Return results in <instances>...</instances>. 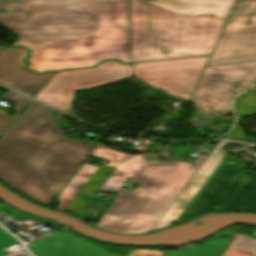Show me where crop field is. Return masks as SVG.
Here are the masks:
<instances>
[{"instance_id":"crop-field-1","label":"crop field","mask_w":256,"mask_h":256,"mask_svg":"<svg viewBox=\"0 0 256 256\" xmlns=\"http://www.w3.org/2000/svg\"><path fill=\"white\" fill-rule=\"evenodd\" d=\"M4 9L32 11L31 17L0 15V23L21 36L13 46L32 50L27 69L131 62L129 0H19Z\"/></svg>"},{"instance_id":"crop-field-2","label":"crop field","mask_w":256,"mask_h":256,"mask_svg":"<svg viewBox=\"0 0 256 256\" xmlns=\"http://www.w3.org/2000/svg\"><path fill=\"white\" fill-rule=\"evenodd\" d=\"M52 110L34 101L0 141V181L46 206L97 146L65 137Z\"/></svg>"},{"instance_id":"crop-field-3","label":"crop field","mask_w":256,"mask_h":256,"mask_svg":"<svg viewBox=\"0 0 256 256\" xmlns=\"http://www.w3.org/2000/svg\"><path fill=\"white\" fill-rule=\"evenodd\" d=\"M234 0H130L132 62L209 54Z\"/></svg>"},{"instance_id":"crop-field-4","label":"crop field","mask_w":256,"mask_h":256,"mask_svg":"<svg viewBox=\"0 0 256 256\" xmlns=\"http://www.w3.org/2000/svg\"><path fill=\"white\" fill-rule=\"evenodd\" d=\"M256 80V62L207 67L191 101L199 115L190 121L193 127L213 122L231 111V98Z\"/></svg>"},{"instance_id":"crop-field-5","label":"crop field","mask_w":256,"mask_h":256,"mask_svg":"<svg viewBox=\"0 0 256 256\" xmlns=\"http://www.w3.org/2000/svg\"><path fill=\"white\" fill-rule=\"evenodd\" d=\"M132 77L131 64L118 61L103 62L85 70L56 73L36 99L44 101L69 114L75 90L97 87Z\"/></svg>"},{"instance_id":"crop-field-6","label":"crop field","mask_w":256,"mask_h":256,"mask_svg":"<svg viewBox=\"0 0 256 256\" xmlns=\"http://www.w3.org/2000/svg\"><path fill=\"white\" fill-rule=\"evenodd\" d=\"M177 163L152 162L131 180L132 183L142 184L141 187L137 191L123 190L97 227L125 233ZM141 189L149 193L139 194Z\"/></svg>"},{"instance_id":"crop-field-7","label":"crop field","mask_w":256,"mask_h":256,"mask_svg":"<svg viewBox=\"0 0 256 256\" xmlns=\"http://www.w3.org/2000/svg\"><path fill=\"white\" fill-rule=\"evenodd\" d=\"M95 156L103 157L111 160L109 165L117 167L111 177L108 179L102 192L118 194L124 184L123 180L130 178L134 174L140 172L148 163L144 155L129 156L116 151L109 150L108 148L100 145L95 152ZM96 166L84 164L82 168L67 184L66 188L60 193L59 200L62 203L58 209L74 210L75 213L81 215L83 211L66 207L92 173L96 170Z\"/></svg>"},{"instance_id":"crop-field-8","label":"crop field","mask_w":256,"mask_h":256,"mask_svg":"<svg viewBox=\"0 0 256 256\" xmlns=\"http://www.w3.org/2000/svg\"><path fill=\"white\" fill-rule=\"evenodd\" d=\"M206 157L207 156L201 154L199 158L196 159L193 167H190L191 164L189 163L179 162L126 234L149 232Z\"/></svg>"},{"instance_id":"crop-field-9","label":"crop field","mask_w":256,"mask_h":256,"mask_svg":"<svg viewBox=\"0 0 256 256\" xmlns=\"http://www.w3.org/2000/svg\"><path fill=\"white\" fill-rule=\"evenodd\" d=\"M208 57L132 64L133 71L191 94Z\"/></svg>"},{"instance_id":"crop-field-10","label":"crop field","mask_w":256,"mask_h":256,"mask_svg":"<svg viewBox=\"0 0 256 256\" xmlns=\"http://www.w3.org/2000/svg\"><path fill=\"white\" fill-rule=\"evenodd\" d=\"M245 172L221 165L177 222L182 223L200 211H221L248 178L243 175Z\"/></svg>"},{"instance_id":"crop-field-11","label":"crop field","mask_w":256,"mask_h":256,"mask_svg":"<svg viewBox=\"0 0 256 256\" xmlns=\"http://www.w3.org/2000/svg\"><path fill=\"white\" fill-rule=\"evenodd\" d=\"M208 65L256 60V20L227 21Z\"/></svg>"},{"instance_id":"crop-field-12","label":"crop field","mask_w":256,"mask_h":256,"mask_svg":"<svg viewBox=\"0 0 256 256\" xmlns=\"http://www.w3.org/2000/svg\"><path fill=\"white\" fill-rule=\"evenodd\" d=\"M234 143L248 147L247 144L236 142H220L209 154L206 160L190 178L178 196L167 208L162 217L154 225L151 230L163 229L170 225L172 221H176L193 197L201 189L227 152L224 150L227 144Z\"/></svg>"},{"instance_id":"crop-field-13","label":"crop field","mask_w":256,"mask_h":256,"mask_svg":"<svg viewBox=\"0 0 256 256\" xmlns=\"http://www.w3.org/2000/svg\"><path fill=\"white\" fill-rule=\"evenodd\" d=\"M28 51L23 48L7 49L0 46V83L34 97L53 73L36 74L24 70Z\"/></svg>"},{"instance_id":"crop-field-14","label":"crop field","mask_w":256,"mask_h":256,"mask_svg":"<svg viewBox=\"0 0 256 256\" xmlns=\"http://www.w3.org/2000/svg\"><path fill=\"white\" fill-rule=\"evenodd\" d=\"M36 256H113L103 249L71 236L66 231L29 245ZM130 256H162V252L131 250Z\"/></svg>"},{"instance_id":"crop-field-15","label":"crop field","mask_w":256,"mask_h":256,"mask_svg":"<svg viewBox=\"0 0 256 256\" xmlns=\"http://www.w3.org/2000/svg\"><path fill=\"white\" fill-rule=\"evenodd\" d=\"M233 229L221 233L205 245L182 252H163V256H223L236 234Z\"/></svg>"},{"instance_id":"crop-field-16","label":"crop field","mask_w":256,"mask_h":256,"mask_svg":"<svg viewBox=\"0 0 256 256\" xmlns=\"http://www.w3.org/2000/svg\"><path fill=\"white\" fill-rule=\"evenodd\" d=\"M226 208L256 211V173H252Z\"/></svg>"},{"instance_id":"crop-field-17","label":"crop field","mask_w":256,"mask_h":256,"mask_svg":"<svg viewBox=\"0 0 256 256\" xmlns=\"http://www.w3.org/2000/svg\"><path fill=\"white\" fill-rule=\"evenodd\" d=\"M1 90L8 91L4 87L0 86ZM3 100H7L15 103V111L18 113L15 117L7 115L9 111L0 110V137L7 131V129L13 124V122L18 118L24 108L32 101V99L22 96L14 91L8 93Z\"/></svg>"},{"instance_id":"crop-field-18","label":"crop field","mask_w":256,"mask_h":256,"mask_svg":"<svg viewBox=\"0 0 256 256\" xmlns=\"http://www.w3.org/2000/svg\"><path fill=\"white\" fill-rule=\"evenodd\" d=\"M224 256H256V240L236 234Z\"/></svg>"},{"instance_id":"crop-field-19","label":"crop field","mask_w":256,"mask_h":256,"mask_svg":"<svg viewBox=\"0 0 256 256\" xmlns=\"http://www.w3.org/2000/svg\"><path fill=\"white\" fill-rule=\"evenodd\" d=\"M256 19V0H237L228 20Z\"/></svg>"},{"instance_id":"crop-field-20","label":"crop field","mask_w":256,"mask_h":256,"mask_svg":"<svg viewBox=\"0 0 256 256\" xmlns=\"http://www.w3.org/2000/svg\"><path fill=\"white\" fill-rule=\"evenodd\" d=\"M133 76H135V77H137V78H139V79H141L142 81H144L145 83H147V84H149V85H151V86H154V87H156V88H159V89H161V90H164V91H166V92H168V93H170V94H172V95H174V96H176V97H178V98H180V99H182V100H184V101H188V99H189V95H187V94H184V93H182V92H180V91H177V90H175V89H172V88H170V87H168V86H165V85H163V84H160V83H158V82H155V81H153V80H151V79H148V78H146V77H143V76H141V75H139V74H136V73H134L133 72ZM138 79V80H139ZM140 80V81H141ZM163 91V92H164Z\"/></svg>"},{"instance_id":"crop-field-21","label":"crop field","mask_w":256,"mask_h":256,"mask_svg":"<svg viewBox=\"0 0 256 256\" xmlns=\"http://www.w3.org/2000/svg\"><path fill=\"white\" fill-rule=\"evenodd\" d=\"M17 243L12 237L0 229V256L8 253L4 249Z\"/></svg>"},{"instance_id":"crop-field-22","label":"crop field","mask_w":256,"mask_h":256,"mask_svg":"<svg viewBox=\"0 0 256 256\" xmlns=\"http://www.w3.org/2000/svg\"><path fill=\"white\" fill-rule=\"evenodd\" d=\"M168 149L178 153L179 155H187L191 151H193L191 146H183V147H167Z\"/></svg>"},{"instance_id":"crop-field-23","label":"crop field","mask_w":256,"mask_h":256,"mask_svg":"<svg viewBox=\"0 0 256 256\" xmlns=\"http://www.w3.org/2000/svg\"><path fill=\"white\" fill-rule=\"evenodd\" d=\"M7 256H27L26 253H19V254H9Z\"/></svg>"},{"instance_id":"crop-field-24","label":"crop field","mask_w":256,"mask_h":256,"mask_svg":"<svg viewBox=\"0 0 256 256\" xmlns=\"http://www.w3.org/2000/svg\"><path fill=\"white\" fill-rule=\"evenodd\" d=\"M140 193H142V194H147L148 192H145V191H142V190H141Z\"/></svg>"}]
</instances>
